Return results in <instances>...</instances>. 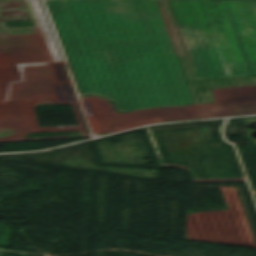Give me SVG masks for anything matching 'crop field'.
Masks as SVG:
<instances>
[{
    "instance_id": "crop-field-1",
    "label": "crop field",
    "mask_w": 256,
    "mask_h": 256,
    "mask_svg": "<svg viewBox=\"0 0 256 256\" xmlns=\"http://www.w3.org/2000/svg\"><path fill=\"white\" fill-rule=\"evenodd\" d=\"M82 93L114 102L119 113L193 104L171 40L93 45L76 40L62 0H47Z\"/></svg>"
},
{
    "instance_id": "crop-field-2",
    "label": "crop field",
    "mask_w": 256,
    "mask_h": 256,
    "mask_svg": "<svg viewBox=\"0 0 256 256\" xmlns=\"http://www.w3.org/2000/svg\"><path fill=\"white\" fill-rule=\"evenodd\" d=\"M77 39L137 44L171 39L156 0H63Z\"/></svg>"
},
{
    "instance_id": "crop-field-3",
    "label": "crop field",
    "mask_w": 256,
    "mask_h": 256,
    "mask_svg": "<svg viewBox=\"0 0 256 256\" xmlns=\"http://www.w3.org/2000/svg\"><path fill=\"white\" fill-rule=\"evenodd\" d=\"M249 74H256V1L222 0ZM221 76H226L209 30H204ZM228 76L247 74L230 29L211 30ZM199 78L218 77L202 30L182 31Z\"/></svg>"
},
{
    "instance_id": "crop-field-4",
    "label": "crop field",
    "mask_w": 256,
    "mask_h": 256,
    "mask_svg": "<svg viewBox=\"0 0 256 256\" xmlns=\"http://www.w3.org/2000/svg\"><path fill=\"white\" fill-rule=\"evenodd\" d=\"M182 30L231 28L221 0H170Z\"/></svg>"
}]
</instances>
